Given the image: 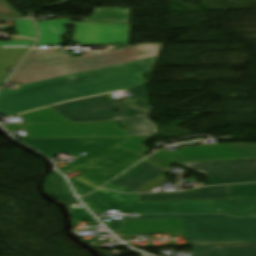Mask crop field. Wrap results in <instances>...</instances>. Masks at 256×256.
Here are the masks:
<instances>
[{
  "mask_svg": "<svg viewBox=\"0 0 256 256\" xmlns=\"http://www.w3.org/2000/svg\"><path fill=\"white\" fill-rule=\"evenodd\" d=\"M182 218L190 245L256 242V218L228 215H161L122 217L121 220Z\"/></svg>",
  "mask_w": 256,
  "mask_h": 256,
  "instance_id": "34b2d1b8",
  "label": "crop field"
},
{
  "mask_svg": "<svg viewBox=\"0 0 256 256\" xmlns=\"http://www.w3.org/2000/svg\"><path fill=\"white\" fill-rule=\"evenodd\" d=\"M16 18H21V17H0V21L11 20V19H16Z\"/></svg>",
  "mask_w": 256,
  "mask_h": 256,
  "instance_id": "1d83c4d3",
  "label": "crop field"
},
{
  "mask_svg": "<svg viewBox=\"0 0 256 256\" xmlns=\"http://www.w3.org/2000/svg\"><path fill=\"white\" fill-rule=\"evenodd\" d=\"M103 188L111 189V190L118 191V192H135V191L111 184V183L106 184Z\"/></svg>",
  "mask_w": 256,
  "mask_h": 256,
  "instance_id": "d3111659",
  "label": "crop field"
},
{
  "mask_svg": "<svg viewBox=\"0 0 256 256\" xmlns=\"http://www.w3.org/2000/svg\"><path fill=\"white\" fill-rule=\"evenodd\" d=\"M74 188L76 189L78 195H83L86 194L87 192H85L84 190L80 189L78 186L73 185Z\"/></svg>",
  "mask_w": 256,
  "mask_h": 256,
  "instance_id": "bd1437ed",
  "label": "crop field"
},
{
  "mask_svg": "<svg viewBox=\"0 0 256 256\" xmlns=\"http://www.w3.org/2000/svg\"><path fill=\"white\" fill-rule=\"evenodd\" d=\"M34 43V40H19L0 42V47H12V46H30Z\"/></svg>",
  "mask_w": 256,
  "mask_h": 256,
  "instance_id": "730fd06b",
  "label": "crop field"
},
{
  "mask_svg": "<svg viewBox=\"0 0 256 256\" xmlns=\"http://www.w3.org/2000/svg\"><path fill=\"white\" fill-rule=\"evenodd\" d=\"M84 203H98V202H108L104 199L98 198L92 194L81 197Z\"/></svg>",
  "mask_w": 256,
  "mask_h": 256,
  "instance_id": "ae1a2a85",
  "label": "crop field"
},
{
  "mask_svg": "<svg viewBox=\"0 0 256 256\" xmlns=\"http://www.w3.org/2000/svg\"><path fill=\"white\" fill-rule=\"evenodd\" d=\"M72 122L120 121L129 135H155L149 112L129 104L116 105L108 94L52 106Z\"/></svg>",
  "mask_w": 256,
  "mask_h": 256,
  "instance_id": "412701ff",
  "label": "crop field"
},
{
  "mask_svg": "<svg viewBox=\"0 0 256 256\" xmlns=\"http://www.w3.org/2000/svg\"><path fill=\"white\" fill-rule=\"evenodd\" d=\"M193 256H223L221 245L192 246Z\"/></svg>",
  "mask_w": 256,
  "mask_h": 256,
  "instance_id": "00972430",
  "label": "crop field"
},
{
  "mask_svg": "<svg viewBox=\"0 0 256 256\" xmlns=\"http://www.w3.org/2000/svg\"><path fill=\"white\" fill-rule=\"evenodd\" d=\"M44 189L48 194L59 201L64 203H78L70 193L63 178L54 171L53 174L47 178Z\"/></svg>",
  "mask_w": 256,
  "mask_h": 256,
  "instance_id": "cbeb9de0",
  "label": "crop field"
},
{
  "mask_svg": "<svg viewBox=\"0 0 256 256\" xmlns=\"http://www.w3.org/2000/svg\"><path fill=\"white\" fill-rule=\"evenodd\" d=\"M183 232L181 219L121 221L116 235Z\"/></svg>",
  "mask_w": 256,
  "mask_h": 256,
  "instance_id": "3316defc",
  "label": "crop field"
},
{
  "mask_svg": "<svg viewBox=\"0 0 256 256\" xmlns=\"http://www.w3.org/2000/svg\"><path fill=\"white\" fill-rule=\"evenodd\" d=\"M230 198L256 197V183L229 186Z\"/></svg>",
  "mask_w": 256,
  "mask_h": 256,
  "instance_id": "bc2a9ffb",
  "label": "crop field"
},
{
  "mask_svg": "<svg viewBox=\"0 0 256 256\" xmlns=\"http://www.w3.org/2000/svg\"><path fill=\"white\" fill-rule=\"evenodd\" d=\"M30 124L70 122L53 108H45L19 115Z\"/></svg>",
  "mask_w": 256,
  "mask_h": 256,
  "instance_id": "5142ce71",
  "label": "crop field"
},
{
  "mask_svg": "<svg viewBox=\"0 0 256 256\" xmlns=\"http://www.w3.org/2000/svg\"><path fill=\"white\" fill-rule=\"evenodd\" d=\"M127 138H88V139H19L27 145L53 157L64 151L76 155H87L60 169L68 174L78 168L86 173L70 180L90 192L115 177L145 156L115 147Z\"/></svg>",
  "mask_w": 256,
  "mask_h": 256,
  "instance_id": "ac0d7876",
  "label": "crop field"
},
{
  "mask_svg": "<svg viewBox=\"0 0 256 256\" xmlns=\"http://www.w3.org/2000/svg\"><path fill=\"white\" fill-rule=\"evenodd\" d=\"M8 131L24 128L30 138H87V137H130L117 147L144 155L148 150L143 142L153 136H129L117 122L62 123L40 125L4 126Z\"/></svg>",
  "mask_w": 256,
  "mask_h": 256,
  "instance_id": "f4fd0767",
  "label": "crop field"
},
{
  "mask_svg": "<svg viewBox=\"0 0 256 256\" xmlns=\"http://www.w3.org/2000/svg\"><path fill=\"white\" fill-rule=\"evenodd\" d=\"M90 210L95 214L106 213V210L117 209L118 205L115 203H99V204H86Z\"/></svg>",
  "mask_w": 256,
  "mask_h": 256,
  "instance_id": "a9b5d70f",
  "label": "crop field"
},
{
  "mask_svg": "<svg viewBox=\"0 0 256 256\" xmlns=\"http://www.w3.org/2000/svg\"><path fill=\"white\" fill-rule=\"evenodd\" d=\"M13 22L18 35L32 39L36 38V32L32 20H16Z\"/></svg>",
  "mask_w": 256,
  "mask_h": 256,
  "instance_id": "dafd665d",
  "label": "crop field"
},
{
  "mask_svg": "<svg viewBox=\"0 0 256 256\" xmlns=\"http://www.w3.org/2000/svg\"><path fill=\"white\" fill-rule=\"evenodd\" d=\"M133 96L126 97L130 103L137 107L147 106V91L145 89V86H137L133 88L127 89ZM134 99L136 102H132L131 100Z\"/></svg>",
  "mask_w": 256,
  "mask_h": 256,
  "instance_id": "92a150f3",
  "label": "crop field"
},
{
  "mask_svg": "<svg viewBox=\"0 0 256 256\" xmlns=\"http://www.w3.org/2000/svg\"><path fill=\"white\" fill-rule=\"evenodd\" d=\"M129 25L76 23L74 40L81 44H127Z\"/></svg>",
  "mask_w": 256,
  "mask_h": 256,
  "instance_id": "5a996713",
  "label": "crop field"
},
{
  "mask_svg": "<svg viewBox=\"0 0 256 256\" xmlns=\"http://www.w3.org/2000/svg\"><path fill=\"white\" fill-rule=\"evenodd\" d=\"M1 84H2V83L0 82V86H1Z\"/></svg>",
  "mask_w": 256,
  "mask_h": 256,
  "instance_id": "d32e631a",
  "label": "crop field"
},
{
  "mask_svg": "<svg viewBox=\"0 0 256 256\" xmlns=\"http://www.w3.org/2000/svg\"><path fill=\"white\" fill-rule=\"evenodd\" d=\"M110 230H120V219L106 225Z\"/></svg>",
  "mask_w": 256,
  "mask_h": 256,
  "instance_id": "750c4746",
  "label": "crop field"
},
{
  "mask_svg": "<svg viewBox=\"0 0 256 256\" xmlns=\"http://www.w3.org/2000/svg\"><path fill=\"white\" fill-rule=\"evenodd\" d=\"M224 256H256V244L222 245Z\"/></svg>",
  "mask_w": 256,
  "mask_h": 256,
  "instance_id": "733c2abd",
  "label": "crop field"
},
{
  "mask_svg": "<svg viewBox=\"0 0 256 256\" xmlns=\"http://www.w3.org/2000/svg\"><path fill=\"white\" fill-rule=\"evenodd\" d=\"M121 214H163V213H229V200L117 203ZM231 215V214H230ZM235 217H256L252 215H232Z\"/></svg>",
  "mask_w": 256,
  "mask_h": 256,
  "instance_id": "d8731c3e",
  "label": "crop field"
},
{
  "mask_svg": "<svg viewBox=\"0 0 256 256\" xmlns=\"http://www.w3.org/2000/svg\"><path fill=\"white\" fill-rule=\"evenodd\" d=\"M207 176L209 185L256 182V159L180 163Z\"/></svg>",
  "mask_w": 256,
  "mask_h": 256,
  "instance_id": "e52e79f7",
  "label": "crop field"
},
{
  "mask_svg": "<svg viewBox=\"0 0 256 256\" xmlns=\"http://www.w3.org/2000/svg\"><path fill=\"white\" fill-rule=\"evenodd\" d=\"M163 170L164 169L144 160L111 183L134 190Z\"/></svg>",
  "mask_w": 256,
  "mask_h": 256,
  "instance_id": "d1516ede",
  "label": "crop field"
},
{
  "mask_svg": "<svg viewBox=\"0 0 256 256\" xmlns=\"http://www.w3.org/2000/svg\"><path fill=\"white\" fill-rule=\"evenodd\" d=\"M156 56L21 84L0 91V114L14 115L35 108L143 84Z\"/></svg>",
  "mask_w": 256,
  "mask_h": 256,
  "instance_id": "8a807250",
  "label": "crop field"
},
{
  "mask_svg": "<svg viewBox=\"0 0 256 256\" xmlns=\"http://www.w3.org/2000/svg\"><path fill=\"white\" fill-rule=\"evenodd\" d=\"M68 21L66 19H56L37 22L40 39L36 45L62 44L60 36L66 33L64 25L74 26L75 24Z\"/></svg>",
  "mask_w": 256,
  "mask_h": 256,
  "instance_id": "22f410ed",
  "label": "crop field"
},
{
  "mask_svg": "<svg viewBox=\"0 0 256 256\" xmlns=\"http://www.w3.org/2000/svg\"><path fill=\"white\" fill-rule=\"evenodd\" d=\"M72 221H95L92 216L84 210H74L70 212Z\"/></svg>",
  "mask_w": 256,
  "mask_h": 256,
  "instance_id": "4177f3b9",
  "label": "crop field"
},
{
  "mask_svg": "<svg viewBox=\"0 0 256 256\" xmlns=\"http://www.w3.org/2000/svg\"><path fill=\"white\" fill-rule=\"evenodd\" d=\"M63 57L62 54H56V58Z\"/></svg>",
  "mask_w": 256,
  "mask_h": 256,
  "instance_id": "120bbe31",
  "label": "crop field"
},
{
  "mask_svg": "<svg viewBox=\"0 0 256 256\" xmlns=\"http://www.w3.org/2000/svg\"><path fill=\"white\" fill-rule=\"evenodd\" d=\"M92 194L104 197L105 199L112 202L137 201L138 197V194H118L103 189H99Z\"/></svg>",
  "mask_w": 256,
  "mask_h": 256,
  "instance_id": "214f88e0",
  "label": "crop field"
},
{
  "mask_svg": "<svg viewBox=\"0 0 256 256\" xmlns=\"http://www.w3.org/2000/svg\"><path fill=\"white\" fill-rule=\"evenodd\" d=\"M208 198H229L228 186L202 187L181 193L139 194L138 201Z\"/></svg>",
  "mask_w": 256,
  "mask_h": 256,
  "instance_id": "28ad6ade",
  "label": "crop field"
},
{
  "mask_svg": "<svg viewBox=\"0 0 256 256\" xmlns=\"http://www.w3.org/2000/svg\"><path fill=\"white\" fill-rule=\"evenodd\" d=\"M0 16H20L11 9L3 0H0Z\"/></svg>",
  "mask_w": 256,
  "mask_h": 256,
  "instance_id": "eef30255",
  "label": "crop field"
},
{
  "mask_svg": "<svg viewBox=\"0 0 256 256\" xmlns=\"http://www.w3.org/2000/svg\"><path fill=\"white\" fill-rule=\"evenodd\" d=\"M256 158V144H223L179 149L172 153L163 150L146 160L168 170L171 163Z\"/></svg>",
  "mask_w": 256,
  "mask_h": 256,
  "instance_id": "dd49c442",
  "label": "crop field"
},
{
  "mask_svg": "<svg viewBox=\"0 0 256 256\" xmlns=\"http://www.w3.org/2000/svg\"><path fill=\"white\" fill-rule=\"evenodd\" d=\"M230 206L232 214L256 213V199L230 200Z\"/></svg>",
  "mask_w": 256,
  "mask_h": 256,
  "instance_id": "4a817a6b",
  "label": "crop field"
},
{
  "mask_svg": "<svg viewBox=\"0 0 256 256\" xmlns=\"http://www.w3.org/2000/svg\"><path fill=\"white\" fill-rule=\"evenodd\" d=\"M29 47L0 48V81L4 82L9 74L3 73L6 67L16 66Z\"/></svg>",
  "mask_w": 256,
  "mask_h": 256,
  "instance_id": "d9b57169",
  "label": "crop field"
}]
</instances>
